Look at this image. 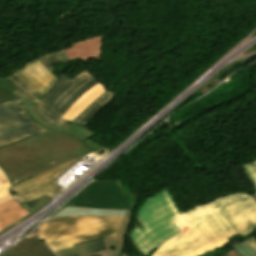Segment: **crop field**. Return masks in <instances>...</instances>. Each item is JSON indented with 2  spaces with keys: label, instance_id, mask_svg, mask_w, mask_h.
Wrapping results in <instances>:
<instances>
[{
  "label": "crop field",
  "instance_id": "8a807250",
  "mask_svg": "<svg viewBox=\"0 0 256 256\" xmlns=\"http://www.w3.org/2000/svg\"><path fill=\"white\" fill-rule=\"evenodd\" d=\"M89 151L73 136L48 131L0 148V168L12 185Z\"/></svg>",
  "mask_w": 256,
  "mask_h": 256
},
{
  "label": "crop field",
  "instance_id": "ac0d7876",
  "mask_svg": "<svg viewBox=\"0 0 256 256\" xmlns=\"http://www.w3.org/2000/svg\"><path fill=\"white\" fill-rule=\"evenodd\" d=\"M182 214L169 190L163 189L145 200L130 239L143 255L148 256L163 241L180 232L173 221Z\"/></svg>",
  "mask_w": 256,
  "mask_h": 256
},
{
  "label": "crop field",
  "instance_id": "34b2d1b8",
  "mask_svg": "<svg viewBox=\"0 0 256 256\" xmlns=\"http://www.w3.org/2000/svg\"><path fill=\"white\" fill-rule=\"evenodd\" d=\"M176 224L186 229L151 256H201L229 243L202 207L194 208Z\"/></svg>",
  "mask_w": 256,
  "mask_h": 256
},
{
  "label": "crop field",
  "instance_id": "412701ff",
  "mask_svg": "<svg viewBox=\"0 0 256 256\" xmlns=\"http://www.w3.org/2000/svg\"><path fill=\"white\" fill-rule=\"evenodd\" d=\"M122 218L73 216L50 220L42 225L40 239L55 251L100 237L113 238L117 234Z\"/></svg>",
  "mask_w": 256,
  "mask_h": 256
},
{
  "label": "crop field",
  "instance_id": "f4fd0767",
  "mask_svg": "<svg viewBox=\"0 0 256 256\" xmlns=\"http://www.w3.org/2000/svg\"><path fill=\"white\" fill-rule=\"evenodd\" d=\"M96 83L97 78L84 70L73 79L62 76L39 101L62 117L69 107Z\"/></svg>",
  "mask_w": 256,
  "mask_h": 256
},
{
  "label": "crop field",
  "instance_id": "dd49c442",
  "mask_svg": "<svg viewBox=\"0 0 256 256\" xmlns=\"http://www.w3.org/2000/svg\"><path fill=\"white\" fill-rule=\"evenodd\" d=\"M44 130L37 126L24 112L20 100L0 104V147L42 134Z\"/></svg>",
  "mask_w": 256,
  "mask_h": 256
},
{
  "label": "crop field",
  "instance_id": "e52e79f7",
  "mask_svg": "<svg viewBox=\"0 0 256 256\" xmlns=\"http://www.w3.org/2000/svg\"><path fill=\"white\" fill-rule=\"evenodd\" d=\"M123 195L120 181L91 182L72 202V206L102 209L134 210L137 203H128Z\"/></svg>",
  "mask_w": 256,
  "mask_h": 256
},
{
  "label": "crop field",
  "instance_id": "d8731c3e",
  "mask_svg": "<svg viewBox=\"0 0 256 256\" xmlns=\"http://www.w3.org/2000/svg\"><path fill=\"white\" fill-rule=\"evenodd\" d=\"M81 156L58 164L30 179L10 187L13 193L33 213L50 201L52 193L58 189L51 181L52 176L64 166L80 158Z\"/></svg>",
  "mask_w": 256,
  "mask_h": 256
},
{
  "label": "crop field",
  "instance_id": "5a996713",
  "mask_svg": "<svg viewBox=\"0 0 256 256\" xmlns=\"http://www.w3.org/2000/svg\"><path fill=\"white\" fill-rule=\"evenodd\" d=\"M240 234L256 227V203L251 196L235 195L215 202Z\"/></svg>",
  "mask_w": 256,
  "mask_h": 256
},
{
  "label": "crop field",
  "instance_id": "3316defc",
  "mask_svg": "<svg viewBox=\"0 0 256 256\" xmlns=\"http://www.w3.org/2000/svg\"><path fill=\"white\" fill-rule=\"evenodd\" d=\"M132 211L122 210H102V209H91V208H79V207H67L53 218L73 216V215H94V216H124L120 229L116 238L104 239L107 246V251L101 252L104 256H127L122 254L121 249L124 241V236L128 225L130 223V215Z\"/></svg>",
  "mask_w": 256,
  "mask_h": 256
},
{
  "label": "crop field",
  "instance_id": "28ad6ade",
  "mask_svg": "<svg viewBox=\"0 0 256 256\" xmlns=\"http://www.w3.org/2000/svg\"><path fill=\"white\" fill-rule=\"evenodd\" d=\"M18 96L23 104V108L26 112V114L40 127L56 131V132H61V133H66L70 135H74L75 137L79 138L80 140L84 141L88 139L89 137L95 135L94 133L88 131L85 128L75 126L73 124L65 122L60 128L55 127L49 123H47L36 111L34 105H33V98L27 94L25 91L16 95Z\"/></svg>",
  "mask_w": 256,
  "mask_h": 256
},
{
  "label": "crop field",
  "instance_id": "d1516ede",
  "mask_svg": "<svg viewBox=\"0 0 256 256\" xmlns=\"http://www.w3.org/2000/svg\"><path fill=\"white\" fill-rule=\"evenodd\" d=\"M104 35L74 42L72 46L64 49L69 60H81L88 62L94 59H101Z\"/></svg>",
  "mask_w": 256,
  "mask_h": 256
},
{
  "label": "crop field",
  "instance_id": "22f410ed",
  "mask_svg": "<svg viewBox=\"0 0 256 256\" xmlns=\"http://www.w3.org/2000/svg\"><path fill=\"white\" fill-rule=\"evenodd\" d=\"M15 74L43 95L46 94L52 84L57 80L37 60L30 62Z\"/></svg>",
  "mask_w": 256,
  "mask_h": 256
},
{
  "label": "crop field",
  "instance_id": "cbeb9de0",
  "mask_svg": "<svg viewBox=\"0 0 256 256\" xmlns=\"http://www.w3.org/2000/svg\"><path fill=\"white\" fill-rule=\"evenodd\" d=\"M3 256H56L51 252L38 238V230H35L14 248L8 251ZM90 256H102L100 254H93Z\"/></svg>",
  "mask_w": 256,
  "mask_h": 256
},
{
  "label": "crop field",
  "instance_id": "5142ce71",
  "mask_svg": "<svg viewBox=\"0 0 256 256\" xmlns=\"http://www.w3.org/2000/svg\"><path fill=\"white\" fill-rule=\"evenodd\" d=\"M104 85L98 83L86 93H84L65 113L62 117L66 120L73 121L88 105H90L97 97L105 92Z\"/></svg>",
  "mask_w": 256,
  "mask_h": 256
},
{
  "label": "crop field",
  "instance_id": "d9b57169",
  "mask_svg": "<svg viewBox=\"0 0 256 256\" xmlns=\"http://www.w3.org/2000/svg\"><path fill=\"white\" fill-rule=\"evenodd\" d=\"M116 93L106 91L103 95L97 98L90 106H88L77 118H75L73 124L87 127L88 123L104 106L109 104Z\"/></svg>",
  "mask_w": 256,
  "mask_h": 256
},
{
  "label": "crop field",
  "instance_id": "733c2abd",
  "mask_svg": "<svg viewBox=\"0 0 256 256\" xmlns=\"http://www.w3.org/2000/svg\"><path fill=\"white\" fill-rule=\"evenodd\" d=\"M102 250H106V246L103 239L100 238L97 240L76 244L73 245V248L55 251L54 253L58 256H81Z\"/></svg>",
  "mask_w": 256,
  "mask_h": 256
},
{
  "label": "crop field",
  "instance_id": "4a817a6b",
  "mask_svg": "<svg viewBox=\"0 0 256 256\" xmlns=\"http://www.w3.org/2000/svg\"><path fill=\"white\" fill-rule=\"evenodd\" d=\"M203 209L210 215L219 229L225 234L227 238L233 237L235 235H239L238 231L234 228V226L227 220V218L222 214L219 208L212 203L203 207Z\"/></svg>",
  "mask_w": 256,
  "mask_h": 256
},
{
  "label": "crop field",
  "instance_id": "bc2a9ffb",
  "mask_svg": "<svg viewBox=\"0 0 256 256\" xmlns=\"http://www.w3.org/2000/svg\"><path fill=\"white\" fill-rule=\"evenodd\" d=\"M19 87L10 78L0 79V103L18 99L15 95L24 91Z\"/></svg>",
  "mask_w": 256,
  "mask_h": 256
},
{
  "label": "crop field",
  "instance_id": "214f88e0",
  "mask_svg": "<svg viewBox=\"0 0 256 256\" xmlns=\"http://www.w3.org/2000/svg\"><path fill=\"white\" fill-rule=\"evenodd\" d=\"M42 66L48 71L50 72L54 77L57 78L56 74L53 72V69L51 67V65L55 64V63H59V62H69L68 58L66 57L65 53L63 52V50L46 55L42 58L37 59ZM58 79V78H57Z\"/></svg>",
  "mask_w": 256,
  "mask_h": 256
},
{
  "label": "crop field",
  "instance_id": "92a150f3",
  "mask_svg": "<svg viewBox=\"0 0 256 256\" xmlns=\"http://www.w3.org/2000/svg\"><path fill=\"white\" fill-rule=\"evenodd\" d=\"M241 256H256V238L251 237L231 246Z\"/></svg>",
  "mask_w": 256,
  "mask_h": 256
},
{
  "label": "crop field",
  "instance_id": "dafd665d",
  "mask_svg": "<svg viewBox=\"0 0 256 256\" xmlns=\"http://www.w3.org/2000/svg\"><path fill=\"white\" fill-rule=\"evenodd\" d=\"M30 213L25 209L15 211L13 213L7 214L0 217V231L3 230L6 226L14 223L15 221L29 215Z\"/></svg>",
  "mask_w": 256,
  "mask_h": 256
},
{
  "label": "crop field",
  "instance_id": "00972430",
  "mask_svg": "<svg viewBox=\"0 0 256 256\" xmlns=\"http://www.w3.org/2000/svg\"><path fill=\"white\" fill-rule=\"evenodd\" d=\"M36 100V99H35ZM33 101L40 115L48 122L53 125L60 127L65 121L60 119L59 117L53 115L50 111H48L41 103L37 101Z\"/></svg>",
  "mask_w": 256,
  "mask_h": 256
},
{
  "label": "crop field",
  "instance_id": "a9b5d70f",
  "mask_svg": "<svg viewBox=\"0 0 256 256\" xmlns=\"http://www.w3.org/2000/svg\"><path fill=\"white\" fill-rule=\"evenodd\" d=\"M20 208H23V206L18 202L17 199L10 200L0 205V216L18 210Z\"/></svg>",
  "mask_w": 256,
  "mask_h": 256
},
{
  "label": "crop field",
  "instance_id": "4177f3b9",
  "mask_svg": "<svg viewBox=\"0 0 256 256\" xmlns=\"http://www.w3.org/2000/svg\"><path fill=\"white\" fill-rule=\"evenodd\" d=\"M241 166L256 190V166L254 162L244 163Z\"/></svg>",
  "mask_w": 256,
  "mask_h": 256
},
{
  "label": "crop field",
  "instance_id": "730fd06b",
  "mask_svg": "<svg viewBox=\"0 0 256 256\" xmlns=\"http://www.w3.org/2000/svg\"><path fill=\"white\" fill-rule=\"evenodd\" d=\"M17 84H19L21 87H23L26 91H28L32 96H34L36 99H40L43 95H41L39 92H37L35 89H33L31 86H29L27 83H25L22 79H20L15 74L10 76Z\"/></svg>",
  "mask_w": 256,
  "mask_h": 256
},
{
  "label": "crop field",
  "instance_id": "eef30255",
  "mask_svg": "<svg viewBox=\"0 0 256 256\" xmlns=\"http://www.w3.org/2000/svg\"><path fill=\"white\" fill-rule=\"evenodd\" d=\"M8 183L0 185V197L8 194Z\"/></svg>",
  "mask_w": 256,
  "mask_h": 256
},
{
  "label": "crop field",
  "instance_id": "ae1a2a85",
  "mask_svg": "<svg viewBox=\"0 0 256 256\" xmlns=\"http://www.w3.org/2000/svg\"><path fill=\"white\" fill-rule=\"evenodd\" d=\"M122 188H123L124 194H129V195H130V200H129V202H135V199H134L132 193L129 191V189L126 188V187H122Z\"/></svg>",
  "mask_w": 256,
  "mask_h": 256
},
{
  "label": "crop field",
  "instance_id": "d3111659",
  "mask_svg": "<svg viewBox=\"0 0 256 256\" xmlns=\"http://www.w3.org/2000/svg\"><path fill=\"white\" fill-rule=\"evenodd\" d=\"M5 182H8L4 173L0 170V184L1 183H5Z\"/></svg>",
  "mask_w": 256,
  "mask_h": 256
},
{
  "label": "crop field",
  "instance_id": "750c4746",
  "mask_svg": "<svg viewBox=\"0 0 256 256\" xmlns=\"http://www.w3.org/2000/svg\"><path fill=\"white\" fill-rule=\"evenodd\" d=\"M12 198L13 197L10 194H8V195L0 198V203L4 202L6 200L12 199Z\"/></svg>",
  "mask_w": 256,
  "mask_h": 256
},
{
  "label": "crop field",
  "instance_id": "bd1437ed",
  "mask_svg": "<svg viewBox=\"0 0 256 256\" xmlns=\"http://www.w3.org/2000/svg\"><path fill=\"white\" fill-rule=\"evenodd\" d=\"M227 254V256H240L238 253H236L234 250H232V251H230V252H228V253H226Z\"/></svg>",
  "mask_w": 256,
  "mask_h": 256
},
{
  "label": "crop field",
  "instance_id": "1d83c4d3",
  "mask_svg": "<svg viewBox=\"0 0 256 256\" xmlns=\"http://www.w3.org/2000/svg\"><path fill=\"white\" fill-rule=\"evenodd\" d=\"M253 199L256 201V194L255 195H252Z\"/></svg>",
  "mask_w": 256,
  "mask_h": 256
},
{
  "label": "crop field",
  "instance_id": "120bbe31",
  "mask_svg": "<svg viewBox=\"0 0 256 256\" xmlns=\"http://www.w3.org/2000/svg\"><path fill=\"white\" fill-rule=\"evenodd\" d=\"M256 163V161H254Z\"/></svg>",
  "mask_w": 256,
  "mask_h": 256
}]
</instances>
